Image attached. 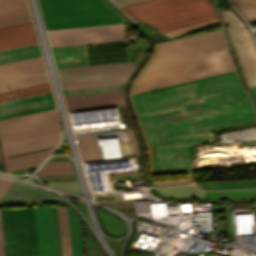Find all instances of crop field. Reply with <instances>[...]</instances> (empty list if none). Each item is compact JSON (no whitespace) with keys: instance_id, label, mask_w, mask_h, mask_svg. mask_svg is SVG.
<instances>
[{"instance_id":"1","label":"crop field","mask_w":256,"mask_h":256,"mask_svg":"<svg viewBox=\"0 0 256 256\" xmlns=\"http://www.w3.org/2000/svg\"><path fill=\"white\" fill-rule=\"evenodd\" d=\"M231 70L220 30L164 42L134 93ZM134 99L144 125L249 100L235 73ZM255 120L248 101L144 126L150 144L157 143L155 173L189 171L187 145L212 141V130Z\"/></svg>"},{"instance_id":"2","label":"crop field","mask_w":256,"mask_h":256,"mask_svg":"<svg viewBox=\"0 0 256 256\" xmlns=\"http://www.w3.org/2000/svg\"><path fill=\"white\" fill-rule=\"evenodd\" d=\"M121 10L164 33L217 18L208 0H151Z\"/></svg>"},{"instance_id":"3","label":"crop field","mask_w":256,"mask_h":256,"mask_svg":"<svg viewBox=\"0 0 256 256\" xmlns=\"http://www.w3.org/2000/svg\"><path fill=\"white\" fill-rule=\"evenodd\" d=\"M47 30L123 23L103 0H39Z\"/></svg>"},{"instance_id":"4","label":"crop field","mask_w":256,"mask_h":256,"mask_svg":"<svg viewBox=\"0 0 256 256\" xmlns=\"http://www.w3.org/2000/svg\"><path fill=\"white\" fill-rule=\"evenodd\" d=\"M134 63L57 69L62 90L125 85Z\"/></svg>"},{"instance_id":"5","label":"crop field","mask_w":256,"mask_h":256,"mask_svg":"<svg viewBox=\"0 0 256 256\" xmlns=\"http://www.w3.org/2000/svg\"><path fill=\"white\" fill-rule=\"evenodd\" d=\"M60 131L56 109L0 121V143Z\"/></svg>"},{"instance_id":"6","label":"crop field","mask_w":256,"mask_h":256,"mask_svg":"<svg viewBox=\"0 0 256 256\" xmlns=\"http://www.w3.org/2000/svg\"><path fill=\"white\" fill-rule=\"evenodd\" d=\"M46 82L41 57L0 66V92Z\"/></svg>"},{"instance_id":"7","label":"crop field","mask_w":256,"mask_h":256,"mask_svg":"<svg viewBox=\"0 0 256 256\" xmlns=\"http://www.w3.org/2000/svg\"><path fill=\"white\" fill-rule=\"evenodd\" d=\"M221 14L230 34L231 42L242 65L248 86H256V51L251 36L246 27L237 29L228 28V26H244V24L239 22L233 12L226 10L221 12Z\"/></svg>"},{"instance_id":"8","label":"crop field","mask_w":256,"mask_h":256,"mask_svg":"<svg viewBox=\"0 0 256 256\" xmlns=\"http://www.w3.org/2000/svg\"><path fill=\"white\" fill-rule=\"evenodd\" d=\"M124 25L47 32L51 47L124 40Z\"/></svg>"},{"instance_id":"9","label":"crop field","mask_w":256,"mask_h":256,"mask_svg":"<svg viewBox=\"0 0 256 256\" xmlns=\"http://www.w3.org/2000/svg\"><path fill=\"white\" fill-rule=\"evenodd\" d=\"M137 49H138V47H128V52H129L131 58ZM140 49H141V47H139V49L137 50V52L135 53L133 58L136 56V54L138 53V51ZM147 49H148V46H143L133 61H141V59L144 57ZM85 51H86V54H92V53L127 51V48H126L125 43H120V44L98 45V46L88 47V48H85ZM128 52L85 56V63H86V65H95V64H106V63L132 61Z\"/></svg>"},{"instance_id":"10","label":"crop field","mask_w":256,"mask_h":256,"mask_svg":"<svg viewBox=\"0 0 256 256\" xmlns=\"http://www.w3.org/2000/svg\"><path fill=\"white\" fill-rule=\"evenodd\" d=\"M52 93L0 103V120L53 109Z\"/></svg>"},{"instance_id":"11","label":"crop field","mask_w":256,"mask_h":256,"mask_svg":"<svg viewBox=\"0 0 256 256\" xmlns=\"http://www.w3.org/2000/svg\"><path fill=\"white\" fill-rule=\"evenodd\" d=\"M39 256H56L51 208L34 209Z\"/></svg>"},{"instance_id":"12","label":"crop field","mask_w":256,"mask_h":256,"mask_svg":"<svg viewBox=\"0 0 256 256\" xmlns=\"http://www.w3.org/2000/svg\"><path fill=\"white\" fill-rule=\"evenodd\" d=\"M41 201H60L47 192L14 180L0 204H21Z\"/></svg>"},{"instance_id":"13","label":"crop field","mask_w":256,"mask_h":256,"mask_svg":"<svg viewBox=\"0 0 256 256\" xmlns=\"http://www.w3.org/2000/svg\"><path fill=\"white\" fill-rule=\"evenodd\" d=\"M66 108H84L125 104L123 91L64 97Z\"/></svg>"},{"instance_id":"14","label":"crop field","mask_w":256,"mask_h":256,"mask_svg":"<svg viewBox=\"0 0 256 256\" xmlns=\"http://www.w3.org/2000/svg\"><path fill=\"white\" fill-rule=\"evenodd\" d=\"M35 42L32 22L0 29V50Z\"/></svg>"},{"instance_id":"15","label":"crop field","mask_w":256,"mask_h":256,"mask_svg":"<svg viewBox=\"0 0 256 256\" xmlns=\"http://www.w3.org/2000/svg\"><path fill=\"white\" fill-rule=\"evenodd\" d=\"M59 133L60 132L2 143L1 144L2 154L3 156H5V155L14 154V153H19V152H24V151H29L33 149L55 145L58 141Z\"/></svg>"},{"instance_id":"16","label":"crop field","mask_w":256,"mask_h":256,"mask_svg":"<svg viewBox=\"0 0 256 256\" xmlns=\"http://www.w3.org/2000/svg\"><path fill=\"white\" fill-rule=\"evenodd\" d=\"M30 21L26 0L0 3V28Z\"/></svg>"},{"instance_id":"17","label":"crop field","mask_w":256,"mask_h":256,"mask_svg":"<svg viewBox=\"0 0 256 256\" xmlns=\"http://www.w3.org/2000/svg\"><path fill=\"white\" fill-rule=\"evenodd\" d=\"M39 56L41 55L38 44H30L0 51V64L25 60Z\"/></svg>"},{"instance_id":"18","label":"crop field","mask_w":256,"mask_h":256,"mask_svg":"<svg viewBox=\"0 0 256 256\" xmlns=\"http://www.w3.org/2000/svg\"><path fill=\"white\" fill-rule=\"evenodd\" d=\"M70 238L73 256H84L80 220L75 213L67 208Z\"/></svg>"},{"instance_id":"19","label":"crop field","mask_w":256,"mask_h":256,"mask_svg":"<svg viewBox=\"0 0 256 256\" xmlns=\"http://www.w3.org/2000/svg\"><path fill=\"white\" fill-rule=\"evenodd\" d=\"M196 184L204 190L254 189V188H256V180L204 182V183H196Z\"/></svg>"},{"instance_id":"20","label":"crop field","mask_w":256,"mask_h":256,"mask_svg":"<svg viewBox=\"0 0 256 256\" xmlns=\"http://www.w3.org/2000/svg\"><path fill=\"white\" fill-rule=\"evenodd\" d=\"M57 68L84 66L82 45L51 48ZM82 56L83 62L57 64L56 58Z\"/></svg>"},{"instance_id":"21","label":"crop field","mask_w":256,"mask_h":256,"mask_svg":"<svg viewBox=\"0 0 256 256\" xmlns=\"http://www.w3.org/2000/svg\"><path fill=\"white\" fill-rule=\"evenodd\" d=\"M50 87L49 84H41L37 86H32V87H27L23 89H18V90H13L9 92H4L0 93V102L2 101H7V100H13V99H18V98H23V97H28L36 94H41L45 92H49ZM10 96H13L12 98Z\"/></svg>"},{"instance_id":"22","label":"crop field","mask_w":256,"mask_h":256,"mask_svg":"<svg viewBox=\"0 0 256 256\" xmlns=\"http://www.w3.org/2000/svg\"><path fill=\"white\" fill-rule=\"evenodd\" d=\"M158 193L170 197L204 198V192L195 186H182L155 189Z\"/></svg>"},{"instance_id":"23","label":"crop field","mask_w":256,"mask_h":256,"mask_svg":"<svg viewBox=\"0 0 256 256\" xmlns=\"http://www.w3.org/2000/svg\"><path fill=\"white\" fill-rule=\"evenodd\" d=\"M49 151L4 160L6 171L38 164Z\"/></svg>"},{"instance_id":"24","label":"crop field","mask_w":256,"mask_h":256,"mask_svg":"<svg viewBox=\"0 0 256 256\" xmlns=\"http://www.w3.org/2000/svg\"><path fill=\"white\" fill-rule=\"evenodd\" d=\"M63 256H72L66 208L57 207Z\"/></svg>"},{"instance_id":"25","label":"crop field","mask_w":256,"mask_h":256,"mask_svg":"<svg viewBox=\"0 0 256 256\" xmlns=\"http://www.w3.org/2000/svg\"><path fill=\"white\" fill-rule=\"evenodd\" d=\"M76 141L83 162L99 160L93 138Z\"/></svg>"},{"instance_id":"26","label":"crop field","mask_w":256,"mask_h":256,"mask_svg":"<svg viewBox=\"0 0 256 256\" xmlns=\"http://www.w3.org/2000/svg\"><path fill=\"white\" fill-rule=\"evenodd\" d=\"M73 174L69 161L49 162L37 176Z\"/></svg>"},{"instance_id":"27","label":"crop field","mask_w":256,"mask_h":256,"mask_svg":"<svg viewBox=\"0 0 256 256\" xmlns=\"http://www.w3.org/2000/svg\"><path fill=\"white\" fill-rule=\"evenodd\" d=\"M256 196V190L250 191H224V192H205V198L213 199H237Z\"/></svg>"},{"instance_id":"28","label":"crop field","mask_w":256,"mask_h":256,"mask_svg":"<svg viewBox=\"0 0 256 256\" xmlns=\"http://www.w3.org/2000/svg\"><path fill=\"white\" fill-rule=\"evenodd\" d=\"M123 89H124V86L106 87V88H93V89H80V90L62 91V94H63V96H68V95H78V94L118 91V90H123Z\"/></svg>"},{"instance_id":"29","label":"crop field","mask_w":256,"mask_h":256,"mask_svg":"<svg viewBox=\"0 0 256 256\" xmlns=\"http://www.w3.org/2000/svg\"><path fill=\"white\" fill-rule=\"evenodd\" d=\"M217 24H219V22L216 19V20H212V21H209V22H205V23L198 24V25H195V26L187 27V28L180 29V30H177V31H173V32H170V33H166V34L174 37V36H178V35L185 34V33H188V32L196 31V30L203 29V28L210 27V26L217 25Z\"/></svg>"},{"instance_id":"30","label":"crop field","mask_w":256,"mask_h":256,"mask_svg":"<svg viewBox=\"0 0 256 256\" xmlns=\"http://www.w3.org/2000/svg\"><path fill=\"white\" fill-rule=\"evenodd\" d=\"M85 240H86V250H87V256H102L99 249L95 245L94 241L90 237L89 233L85 229Z\"/></svg>"},{"instance_id":"31","label":"crop field","mask_w":256,"mask_h":256,"mask_svg":"<svg viewBox=\"0 0 256 256\" xmlns=\"http://www.w3.org/2000/svg\"><path fill=\"white\" fill-rule=\"evenodd\" d=\"M52 212H53L56 252H57V256H62V254H61V246H60V237H59V228H58V220H57L56 207L52 208Z\"/></svg>"},{"instance_id":"32","label":"crop field","mask_w":256,"mask_h":256,"mask_svg":"<svg viewBox=\"0 0 256 256\" xmlns=\"http://www.w3.org/2000/svg\"><path fill=\"white\" fill-rule=\"evenodd\" d=\"M45 183L80 194L77 182H45Z\"/></svg>"},{"instance_id":"33","label":"crop field","mask_w":256,"mask_h":256,"mask_svg":"<svg viewBox=\"0 0 256 256\" xmlns=\"http://www.w3.org/2000/svg\"><path fill=\"white\" fill-rule=\"evenodd\" d=\"M12 182H13V179L0 176V199L2 198L4 193L7 191V189L9 188Z\"/></svg>"},{"instance_id":"34","label":"crop field","mask_w":256,"mask_h":256,"mask_svg":"<svg viewBox=\"0 0 256 256\" xmlns=\"http://www.w3.org/2000/svg\"><path fill=\"white\" fill-rule=\"evenodd\" d=\"M119 8L136 4L147 0H112Z\"/></svg>"},{"instance_id":"35","label":"crop field","mask_w":256,"mask_h":256,"mask_svg":"<svg viewBox=\"0 0 256 256\" xmlns=\"http://www.w3.org/2000/svg\"><path fill=\"white\" fill-rule=\"evenodd\" d=\"M250 90H251V94L253 96L254 102L256 104V87H252L250 88Z\"/></svg>"},{"instance_id":"36","label":"crop field","mask_w":256,"mask_h":256,"mask_svg":"<svg viewBox=\"0 0 256 256\" xmlns=\"http://www.w3.org/2000/svg\"><path fill=\"white\" fill-rule=\"evenodd\" d=\"M0 170L5 171L4 164H3V159H2V154H1V149H0Z\"/></svg>"},{"instance_id":"37","label":"crop field","mask_w":256,"mask_h":256,"mask_svg":"<svg viewBox=\"0 0 256 256\" xmlns=\"http://www.w3.org/2000/svg\"><path fill=\"white\" fill-rule=\"evenodd\" d=\"M9 1V0H0V2Z\"/></svg>"}]
</instances>
